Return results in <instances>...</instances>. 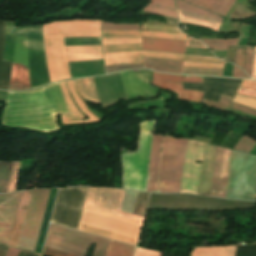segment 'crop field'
<instances>
[{
    "label": "crop field",
    "mask_w": 256,
    "mask_h": 256,
    "mask_svg": "<svg viewBox=\"0 0 256 256\" xmlns=\"http://www.w3.org/2000/svg\"><path fill=\"white\" fill-rule=\"evenodd\" d=\"M241 86L256 88V81H254V80H244L243 83L241 84Z\"/></svg>",
    "instance_id": "obj_49"
},
{
    "label": "crop field",
    "mask_w": 256,
    "mask_h": 256,
    "mask_svg": "<svg viewBox=\"0 0 256 256\" xmlns=\"http://www.w3.org/2000/svg\"><path fill=\"white\" fill-rule=\"evenodd\" d=\"M49 190H32L18 247L35 250Z\"/></svg>",
    "instance_id": "obj_11"
},
{
    "label": "crop field",
    "mask_w": 256,
    "mask_h": 256,
    "mask_svg": "<svg viewBox=\"0 0 256 256\" xmlns=\"http://www.w3.org/2000/svg\"><path fill=\"white\" fill-rule=\"evenodd\" d=\"M252 61H253V51L251 48L246 47L243 70L249 75H251V71H252Z\"/></svg>",
    "instance_id": "obj_38"
},
{
    "label": "crop field",
    "mask_w": 256,
    "mask_h": 256,
    "mask_svg": "<svg viewBox=\"0 0 256 256\" xmlns=\"http://www.w3.org/2000/svg\"><path fill=\"white\" fill-rule=\"evenodd\" d=\"M123 192L110 188H88L83 209L141 225L143 217L119 211ZM84 210L79 230L133 245L136 244L140 225Z\"/></svg>",
    "instance_id": "obj_1"
},
{
    "label": "crop field",
    "mask_w": 256,
    "mask_h": 256,
    "mask_svg": "<svg viewBox=\"0 0 256 256\" xmlns=\"http://www.w3.org/2000/svg\"><path fill=\"white\" fill-rule=\"evenodd\" d=\"M233 101V100H232ZM256 109V99L236 94L234 101Z\"/></svg>",
    "instance_id": "obj_39"
},
{
    "label": "crop field",
    "mask_w": 256,
    "mask_h": 256,
    "mask_svg": "<svg viewBox=\"0 0 256 256\" xmlns=\"http://www.w3.org/2000/svg\"><path fill=\"white\" fill-rule=\"evenodd\" d=\"M163 136L153 135L146 191H155Z\"/></svg>",
    "instance_id": "obj_21"
},
{
    "label": "crop field",
    "mask_w": 256,
    "mask_h": 256,
    "mask_svg": "<svg viewBox=\"0 0 256 256\" xmlns=\"http://www.w3.org/2000/svg\"><path fill=\"white\" fill-rule=\"evenodd\" d=\"M19 251H20L19 249H15V248L10 247L6 256H17Z\"/></svg>",
    "instance_id": "obj_50"
},
{
    "label": "crop field",
    "mask_w": 256,
    "mask_h": 256,
    "mask_svg": "<svg viewBox=\"0 0 256 256\" xmlns=\"http://www.w3.org/2000/svg\"><path fill=\"white\" fill-rule=\"evenodd\" d=\"M176 1H177V8L178 9H181V10H184V11H188V12L197 14V15H199L201 17L208 18V19L220 22V23L222 22V18L217 16V15H215V14L207 12V11L201 9V8H198L196 6L190 5V4L185 3L183 1H180V0H176Z\"/></svg>",
    "instance_id": "obj_28"
},
{
    "label": "crop field",
    "mask_w": 256,
    "mask_h": 256,
    "mask_svg": "<svg viewBox=\"0 0 256 256\" xmlns=\"http://www.w3.org/2000/svg\"><path fill=\"white\" fill-rule=\"evenodd\" d=\"M135 256H160V253L137 248Z\"/></svg>",
    "instance_id": "obj_43"
},
{
    "label": "crop field",
    "mask_w": 256,
    "mask_h": 256,
    "mask_svg": "<svg viewBox=\"0 0 256 256\" xmlns=\"http://www.w3.org/2000/svg\"><path fill=\"white\" fill-rule=\"evenodd\" d=\"M141 36L186 40V35L179 33L137 30L102 31L103 52L142 50Z\"/></svg>",
    "instance_id": "obj_12"
},
{
    "label": "crop field",
    "mask_w": 256,
    "mask_h": 256,
    "mask_svg": "<svg viewBox=\"0 0 256 256\" xmlns=\"http://www.w3.org/2000/svg\"><path fill=\"white\" fill-rule=\"evenodd\" d=\"M235 0H216L211 11L226 16Z\"/></svg>",
    "instance_id": "obj_33"
},
{
    "label": "crop field",
    "mask_w": 256,
    "mask_h": 256,
    "mask_svg": "<svg viewBox=\"0 0 256 256\" xmlns=\"http://www.w3.org/2000/svg\"><path fill=\"white\" fill-rule=\"evenodd\" d=\"M236 246L194 248L191 256H234Z\"/></svg>",
    "instance_id": "obj_25"
},
{
    "label": "crop field",
    "mask_w": 256,
    "mask_h": 256,
    "mask_svg": "<svg viewBox=\"0 0 256 256\" xmlns=\"http://www.w3.org/2000/svg\"><path fill=\"white\" fill-rule=\"evenodd\" d=\"M204 146L188 140L180 192L197 194L202 165L195 164V159L202 160Z\"/></svg>",
    "instance_id": "obj_13"
},
{
    "label": "crop field",
    "mask_w": 256,
    "mask_h": 256,
    "mask_svg": "<svg viewBox=\"0 0 256 256\" xmlns=\"http://www.w3.org/2000/svg\"><path fill=\"white\" fill-rule=\"evenodd\" d=\"M101 21L76 20L43 25L50 81L70 78L67 62L102 59L101 45L65 47L63 37H100Z\"/></svg>",
    "instance_id": "obj_2"
},
{
    "label": "crop field",
    "mask_w": 256,
    "mask_h": 256,
    "mask_svg": "<svg viewBox=\"0 0 256 256\" xmlns=\"http://www.w3.org/2000/svg\"><path fill=\"white\" fill-rule=\"evenodd\" d=\"M140 29V24L108 23L102 21V30Z\"/></svg>",
    "instance_id": "obj_35"
},
{
    "label": "crop field",
    "mask_w": 256,
    "mask_h": 256,
    "mask_svg": "<svg viewBox=\"0 0 256 256\" xmlns=\"http://www.w3.org/2000/svg\"><path fill=\"white\" fill-rule=\"evenodd\" d=\"M255 48V55H254V61H253V72H252V77L256 78V47Z\"/></svg>",
    "instance_id": "obj_51"
},
{
    "label": "crop field",
    "mask_w": 256,
    "mask_h": 256,
    "mask_svg": "<svg viewBox=\"0 0 256 256\" xmlns=\"http://www.w3.org/2000/svg\"><path fill=\"white\" fill-rule=\"evenodd\" d=\"M127 98L146 96L155 97L157 92L148 85V72H123L120 73Z\"/></svg>",
    "instance_id": "obj_16"
},
{
    "label": "crop field",
    "mask_w": 256,
    "mask_h": 256,
    "mask_svg": "<svg viewBox=\"0 0 256 256\" xmlns=\"http://www.w3.org/2000/svg\"><path fill=\"white\" fill-rule=\"evenodd\" d=\"M61 89V92L65 98L67 109L69 115H61L62 120L64 124H69V123H85L89 121H96L99 120L97 117H95L86 107V105L83 103L81 100L80 96L78 95L76 88L78 92L80 93L81 97L85 101H91L95 103H99L97 94L95 91L94 83L92 77L89 78H82V79H76L74 81H69L67 82V87L69 89V92L73 96L76 104L79 106V108L84 112L85 115L88 116L89 119H86L75 107L73 104L70 95L67 91L65 82L58 83ZM76 86V88H75ZM69 120H83V121H76V122H64V121H69Z\"/></svg>",
    "instance_id": "obj_10"
},
{
    "label": "crop field",
    "mask_w": 256,
    "mask_h": 256,
    "mask_svg": "<svg viewBox=\"0 0 256 256\" xmlns=\"http://www.w3.org/2000/svg\"><path fill=\"white\" fill-rule=\"evenodd\" d=\"M256 156L233 151L226 197L255 200Z\"/></svg>",
    "instance_id": "obj_7"
},
{
    "label": "crop field",
    "mask_w": 256,
    "mask_h": 256,
    "mask_svg": "<svg viewBox=\"0 0 256 256\" xmlns=\"http://www.w3.org/2000/svg\"><path fill=\"white\" fill-rule=\"evenodd\" d=\"M43 254L47 255V256H74V255L66 254V253L52 250V249L45 248V247H44Z\"/></svg>",
    "instance_id": "obj_41"
},
{
    "label": "crop field",
    "mask_w": 256,
    "mask_h": 256,
    "mask_svg": "<svg viewBox=\"0 0 256 256\" xmlns=\"http://www.w3.org/2000/svg\"><path fill=\"white\" fill-rule=\"evenodd\" d=\"M30 192H31V190L23 191L20 193L13 225H12L8 243H7L8 245H12V246H16V247L18 245V241H19V237H20V233H21V229H22V225H23V221H24V216H25Z\"/></svg>",
    "instance_id": "obj_19"
},
{
    "label": "crop field",
    "mask_w": 256,
    "mask_h": 256,
    "mask_svg": "<svg viewBox=\"0 0 256 256\" xmlns=\"http://www.w3.org/2000/svg\"><path fill=\"white\" fill-rule=\"evenodd\" d=\"M25 89H30L28 83L27 69H25L21 65L13 63L9 90Z\"/></svg>",
    "instance_id": "obj_24"
},
{
    "label": "crop field",
    "mask_w": 256,
    "mask_h": 256,
    "mask_svg": "<svg viewBox=\"0 0 256 256\" xmlns=\"http://www.w3.org/2000/svg\"><path fill=\"white\" fill-rule=\"evenodd\" d=\"M20 161H13L7 192H14L16 189Z\"/></svg>",
    "instance_id": "obj_34"
},
{
    "label": "crop field",
    "mask_w": 256,
    "mask_h": 256,
    "mask_svg": "<svg viewBox=\"0 0 256 256\" xmlns=\"http://www.w3.org/2000/svg\"><path fill=\"white\" fill-rule=\"evenodd\" d=\"M239 38H232V39H221V40H206L201 39L204 41L209 48L216 49V50H227V45H236Z\"/></svg>",
    "instance_id": "obj_31"
},
{
    "label": "crop field",
    "mask_w": 256,
    "mask_h": 256,
    "mask_svg": "<svg viewBox=\"0 0 256 256\" xmlns=\"http://www.w3.org/2000/svg\"><path fill=\"white\" fill-rule=\"evenodd\" d=\"M153 2L146 6L143 11L156 13L168 17L177 18V12L175 9L174 0H152ZM142 29L150 30H161V31H171V32H180L177 27L170 26H157V25H147L142 24ZM182 33V32H180Z\"/></svg>",
    "instance_id": "obj_18"
},
{
    "label": "crop field",
    "mask_w": 256,
    "mask_h": 256,
    "mask_svg": "<svg viewBox=\"0 0 256 256\" xmlns=\"http://www.w3.org/2000/svg\"><path fill=\"white\" fill-rule=\"evenodd\" d=\"M223 70L184 68L183 73L199 75H221Z\"/></svg>",
    "instance_id": "obj_36"
},
{
    "label": "crop field",
    "mask_w": 256,
    "mask_h": 256,
    "mask_svg": "<svg viewBox=\"0 0 256 256\" xmlns=\"http://www.w3.org/2000/svg\"><path fill=\"white\" fill-rule=\"evenodd\" d=\"M184 1L189 2V3H192V4L195 5L198 0H184Z\"/></svg>",
    "instance_id": "obj_53"
},
{
    "label": "crop field",
    "mask_w": 256,
    "mask_h": 256,
    "mask_svg": "<svg viewBox=\"0 0 256 256\" xmlns=\"http://www.w3.org/2000/svg\"><path fill=\"white\" fill-rule=\"evenodd\" d=\"M108 241L107 239L50 224L44 246L78 256H86L90 244L95 242L96 247L93 256H104Z\"/></svg>",
    "instance_id": "obj_6"
},
{
    "label": "crop field",
    "mask_w": 256,
    "mask_h": 256,
    "mask_svg": "<svg viewBox=\"0 0 256 256\" xmlns=\"http://www.w3.org/2000/svg\"><path fill=\"white\" fill-rule=\"evenodd\" d=\"M230 154L231 150L217 146L209 196L225 195Z\"/></svg>",
    "instance_id": "obj_15"
},
{
    "label": "crop field",
    "mask_w": 256,
    "mask_h": 256,
    "mask_svg": "<svg viewBox=\"0 0 256 256\" xmlns=\"http://www.w3.org/2000/svg\"><path fill=\"white\" fill-rule=\"evenodd\" d=\"M238 92L256 97V90H254V89L240 87Z\"/></svg>",
    "instance_id": "obj_47"
},
{
    "label": "crop field",
    "mask_w": 256,
    "mask_h": 256,
    "mask_svg": "<svg viewBox=\"0 0 256 256\" xmlns=\"http://www.w3.org/2000/svg\"><path fill=\"white\" fill-rule=\"evenodd\" d=\"M232 76L247 77V78H249L248 76H246V75L243 73V71H242L240 68H238V67H236V66H234V68H233V74H232Z\"/></svg>",
    "instance_id": "obj_48"
},
{
    "label": "crop field",
    "mask_w": 256,
    "mask_h": 256,
    "mask_svg": "<svg viewBox=\"0 0 256 256\" xmlns=\"http://www.w3.org/2000/svg\"><path fill=\"white\" fill-rule=\"evenodd\" d=\"M215 0H199L197 6L210 10Z\"/></svg>",
    "instance_id": "obj_45"
},
{
    "label": "crop field",
    "mask_w": 256,
    "mask_h": 256,
    "mask_svg": "<svg viewBox=\"0 0 256 256\" xmlns=\"http://www.w3.org/2000/svg\"><path fill=\"white\" fill-rule=\"evenodd\" d=\"M204 80L216 81V82H225V83H235V84H240L241 83V79H232V78H211V77H205Z\"/></svg>",
    "instance_id": "obj_40"
},
{
    "label": "crop field",
    "mask_w": 256,
    "mask_h": 256,
    "mask_svg": "<svg viewBox=\"0 0 256 256\" xmlns=\"http://www.w3.org/2000/svg\"><path fill=\"white\" fill-rule=\"evenodd\" d=\"M256 141L249 139L247 137H242V139L239 141V143L235 146V150L243 151L249 153L253 145ZM255 146V145H254Z\"/></svg>",
    "instance_id": "obj_37"
},
{
    "label": "crop field",
    "mask_w": 256,
    "mask_h": 256,
    "mask_svg": "<svg viewBox=\"0 0 256 256\" xmlns=\"http://www.w3.org/2000/svg\"><path fill=\"white\" fill-rule=\"evenodd\" d=\"M105 66L114 64H135L142 63V57H153L176 60H194L185 61L184 67L194 68H214L223 69L224 61L205 56L180 55L172 53H160L149 51H120L104 53Z\"/></svg>",
    "instance_id": "obj_9"
},
{
    "label": "crop field",
    "mask_w": 256,
    "mask_h": 256,
    "mask_svg": "<svg viewBox=\"0 0 256 256\" xmlns=\"http://www.w3.org/2000/svg\"><path fill=\"white\" fill-rule=\"evenodd\" d=\"M58 114L68 113L58 84L54 83L34 91L9 92L2 124L51 133L59 130Z\"/></svg>",
    "instance_id": "obj_3"
},
{
    "label": "crop field",
    "mask_w": 256,
    "mask_h": 256,
    "mask_svg": "<svg viewBox=\"0 0 256 256\" xmlns=\"http://www.w3.org/2000/svg\"><path fill=\"white\" fill-rule=\"evenodd\" d=\"M244 49L236 50V58L234 64L240 66L242 68L243 66V59H244V54H243Z\"/></svg>",
    "instance_id": "obj_44"
},
{
    "label": "crop field",
    "mask_w": 256,
    "mask_h": 256,
    "mask_svg": "<svg viewBox=\"0 0 256 256\" xmlns=\"http://www.w3.org/2000/svg\"><path fill=\"white\" fill-rule=\"evenodd\" d=\"M252 207H255V202L231 201L227 199L207 198L189 194L151 193L147 209L223 210Z\"/></svg>",
    "instance_id": "obj_4"
},
{
    "label": "crop field",
    "mask_w": 256,
    "mask_h": 256,
    "mask_svg": "<svg viewBox=\"0 0 256 256\" xmlns=\"http://www.w3.org/2000/svg\"><path fill=\"white\" fill-rule=\"evenodd\" d=\"M186 143L165 137L157 192H179Z\"/></svg>",
    "instance_id": "obj_8"
},
{
    "label": "crop field",
    "mask_w": 256,
    "mask_h": 256,
    "mask_svg": "<svg viewBox=\"0 0 256 256\" xmlns=\"http://www.w3.org/2000/svg\"><path fill=\"white\" fill-rule=\"evenodd\" d=\"M232 104V103H231ZM231 108L233 109H238V110H241V111H244L246 113H249V114H252V115H255L256 116V110L255 109H252V108H249V107H246V106H242V105H238V104H232Z\"/></svg>",
    "instance_id": "obj_42"
},
{
    "label": "crop field",
    "mask_w": 256,
    "mask_h": 256,
    "mask_svg": "<svg viewBox=\"0 0 256 256\" xmlns=\"http://www.w3.org/2000/svg\"><path fill=\"white\" fill-rule=\"evenodd\" d=\"M178 13H179V17H180V22H183V23L209 27V28L213 29L214 31H217V29L220 26V23L201 18L197 15H194V14H191L188 12L178 10Z\"/></svg>",
    "instance_id": "obj_26"
},
{
    "label": "crop field",
    "mask_w": 256,
    "mask_h": 256,
    "mask_svg": "<svg viewBox=\"0 0 256 256\" xmlns=\"http://www.w3.org/2000/svg\"><path fill=\"white\" fill-rule=\"evenodd\" d=\"M143 66L162 72L182 73L183 61L143 58Z\"/></svg>",
    "instance_id": "obj_23"
},
{
    "label": "crop field",
    "mask_w": 256,
    "mask_h": 256,
    "mask_svg": "<svg viewBox=\"0 0 256 256\" xmlns=\"http://www.w3.org/2000/svg\"><path fill=\"white\" fill-rule=\"evenodd\" d=\"M186 46H193V47H203L206 48L204 46V44L198 40L192 39V38H187V44Z\"/></svg>",
    "instance_id": "obj_46"
},
{
    "label": "crop field",
    "mask_w": 256,
    "mask_h": 256,
    "mask_svg": "<svg viewBox=\"0 0 256 256\" xmlns=\"http://www.w3.org/2000/svg\"><path fill=\"white\" fill-rule=\"evenodd\" d=\"M134 249L133 246L110 240L105 256H133Z\"/></svg>",
    "instance_id": "obj_27"
},
{
    "label": "crop field",
    "mask_w": 256,
    "mask_h": 256,
    "mask_svg": "<svg viewBox=\"0 0 256 256\" xmlns=\"http://www.w3.org/2000/svg\"><path fill=\"white\" fill-rule=\"evenodd\" d=\"M19 193L0 194V224L11 226ZM0 225V243H7L10 227Z\"/></svg>",
    "instance_id": "obj_17"
},
{
    "label": "crop field",
    "mask_w": 256,
    "mask_h": 256,
    "mask_svg": "<svg viewBox=\"0 0 256 256\" xmlns=\"http://www.w3.org/2000/svg\"><path fill=\"white\" fill-rule=\"evenodd\" d=\"M12 161H0V192H6Z\"/></svg>",
    "instance_id": "obj_30"
},
{
    "label": "crop field",
    "mask_w": 256,
    "mask_h": 256,
    "mask_svg": "<svg viewBox=\"0 0 256 256\" xmlns=\"http://www.w3.org/2000/svg\"><path fill=\"white\" fill-rule=\"evenodd\" d=\"M203 85L213 86V87H221V88H231V89H237V87H238V85H234V84L211 83V82H204ZM205 86H201V84H198V83L184 82V88L204 90V91H206V93L203 98L216 100V101L219 100L220 95L214 94V93H209V92L223 93V94H228V95H232V96H234L235 92H236V91H232V90L205 87Z\"/></svg>",
    "instance_id": "obj_22"
},
{
    "label": "crop field",
    "mask_w": 256,
    "mask_h": 256,
    "mask_svg": "<svg viewBox=\"0 0 256 256\" xmlns=\"http://www.w3.org/2000/svg\"><path fill=\"white\" fill-rule=\"evenodd\" d=\"M152 74H153V79H152L153 85L176 92L178 94L177 98L179 99H182L185 101L199 102L200 98L204 94V92L202 91L182 89L181 83L161 82V81L183 82V76L158 74L155 72H153ZM202 79L203 77L185 76L184 81L202 83Z\"/></svg>",
    "instance_id": "obj_14"
},
{
    "label": "crop field",
    "mask_w": 256,
    "mask_h": 256,
    "mask_svg": "<svg viewBox=\"0 0 256 256\" xmlns=\"http://www.w3.org/2000/svg\"><path fill=\"white\" fill-rule=\"evenodd\" d=\"M231 100H232L231 96L221 94L219 102L203 99L201 103L207 104L208 107L226 111Z\"/></svg>",
    "instance_id": "obj_32"
},
{
    "label": "crop field",
    "mask_w": 256,
    "mask_h": 256,
    "mask_svg": "<svg viewBox=\"0 0 256 256\" xmlns=\"http://www.w3.org/2000/svg\"><path fill=\"white\" fill-rule=\"evenodd\" d=\"M155 121L140 124L137 152L124 154V189L145 191L149 151Z\"/></svg>",
    "instance_id": "obj_5"
},
{
    "label": "crop field",
    "mask_w": 256,
    "mask_h": 256,
    "mask_svg": "<svg viewBox=\"0 0 256 256\" xmlns=\"http://www.w3.org/2000/svg\"><path fill=\"white\" fill-rule=\"evenodd\" d=\"M13 62L22 63L28 67L26 37H16Z\"/></svg>",
    "instance_id": "obj_29"
},
{
    "label": "crop field",
    "mask_w": 256,
    "mask_h": 256,
    "mask_svg": "<svg viewBox=\"0 0 256 256\" xmlns=\"http://www.w3.org/2000/svg\"><path fill=\"white\" fill-rule=\"evenodd\" d=\"M143 49L184 53L185 41L142 37Z\"/></svg>",
    "instance_id": "obj_20"
},
{
    "label": "crop field",
    "mask_w": 256,
    "mask_h": 256,
    "mask_svg": "<svg viewBox=\"0 0 256 256\" xmlns=\"http://www.w3.org/2000/svg\"><path fill=\"white\" fill-rule=\"evenodd\" d=\"M9 247L0 245V256H5Z\"/></svg>",
    "instance_id": "obj_52"
}]
</instances>
